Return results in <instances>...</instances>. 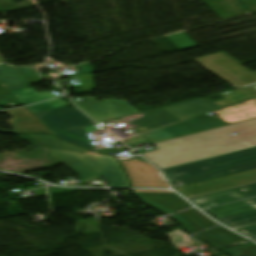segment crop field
<instances>
[{"label":"crop field","mask_w":256,"mask_h":256,"mask_svg":"<svg viewBox=\"0 0 256 256\" xmlns=\"http://www.w3.org/2000/svg\"><path fill=\"white\" fill-rule=\"evenodd\" d=\"M195 61L236 89L256 84V72H250L223 53L195 59Z\"/></svg>","instance_id":"4"},{"label":"crop field","mask_w":256,"mask_h":256,"mask_svg":"<svg viewBox=\"0 0 256 256\" xmlns=\"http://www.w3.org/2000/svg\"><path fill=\"white\" fill-rule=\"evenodd\" d=\"M173 217L181 221L192 233L216 225L213 221L206 218L195 209L173 215Z\"/></svg>","instance_id":"10"},{"label":"crop field","mask_w":256,"mask_h":256,"mask_svg":"<svg viewBox=\"0 0 256 256\" xmlns=\"http://www.w3.org/2000/svg\"><path fill=\"white\" fill-rule=\"evenodd\" d=\"M226 99L210 103L199 99L166 108L139 113L120 121L129 124L136 132L141 133L207 111H211L229 104H233L256 96V85L221 94ZM224 121L233 124L246 120L256 119V99L250 100L226 109L213 112ZM151 144L150 142L132 146V148Z\"/></svg>","instance_id":"1"},{"label":"crop field","mask_w":256,"mask_h":256,"mask_svg":"<svg viewBox=\"0 0 256 256\" xmlns=\"http://www.w3.org/2000/svg\"><path fill=\"white\" fill-rule=\"evenodd\" d=\"M243 187H247L243 189L244 191L251 190V189H254V191L246 193L244 195L245 197L241 196L240 194L236 193L233 190H228L224 192L192 198L190 200L194 202H198L202 200L203 203H197V204L202 208H206V207L222 204L225 202H229V201H233L241 198H249V197L256 196V184L246 185Z\"/></svg>","instance_id":"8"},{"label":"crop field","mask_w":256,"mask_h":256,"mask_svg":"<svg viewBox=\"0 0 256 256\" xmlns=\"http://www.w3.org/2000/svg\"><path fill=\"white\" fill-rule=\"evenodd\" d=\"M83 101L75 104L90 115L97 123L139 113L126 102L116 100L97 101L96 97H80ZM83 111V112H84Z\"/></svg>","instance_id":"5"},{"label":"crop field","mask_w":256,"mask_h":256,"mask_svg":"<svg viewBox=\"0 0 256 256\" xmlns=\"http://www.w3.org/2000/svg\"><path fill=\"white\" fill-rule=\"evenodd\" d=\"M253 168H256V161L231 167V168H227V169H223V170H218L214 172H209V173L173 181L171 182L172 183L171 185L173 188H176V187H180V186H184V185H188V184H192V183H196V182H200V181H204V180H208V179H212V178H216V177H220V176H224V175H228V174H232L240 171H245Z\"/></svg>","instance_id":"9"},{"label":"crop field","mask_w":256,"mask_h":256,"mask_svg":"<svg viewBox=\"0 0 256 256\" xmlns=\"http://www.w3.org/2000/svg\"><path fill=\"white\" fill-rule=\"evenodd\" d=\"M256 160V147L164 169L170 181Z\"/></svg>","instance_id":"3"},{"label":"crop field","mask_w":256,"mask_h":256,"mask_svg":"<svg viewBox=\"0 0 256 256\" xmlns=\"http://www.w3.org/2000/svg\"><path fill=\"white\" fill-rule=\"evenodd\" d=\"M66 105H69V104L66 103L65 101L57 98V99H54V100H51V101H48V102H45L42 104L29 106L28 108L32 112V114H34V113H38V112L66 106Z\"/></svg>","instance_id":"14"},{"label":"crop field","mask_w":256,"mask_h":256,"mask_svg":"<svg viewBox=\"0 0 256 256\" xmlns=\"http://www.w3.org/2000/svg\"><path fill=\"white\" fill-rule=\"evenodd\" d=\"M133 187H168L157 177L158 170L137 159L121 162Z\"/></svg>","instance_id":"6"},{"label":"crop field","mask_w":256,"mask_h":256,"mask_svg":"<svg viewBox=\"0 0 256 256\" xmlns=\"http://www.w3.org/2000/svg\"><path fill=\"white\" fill-rule=\"evenodd\" d=\"M158 177L161 178L164 181V179H163V177L160 173L158 174Z\"/></svg>","instance_id":"18"},{"label":"crop field","mask_w":256,"mask_h":256,"mask_svg":"<svg viewBox=\"0 0 256 256\" xmlns=\"http://www.w3.org/2000/svg\"><path fill=\"white\" fill-rule=\"evenodd\" d=\"M253 209H256V198L207 209L206 211H208L216 218H221Z\"/></svg>","instance_id":"11"},{"label":"crop field","mask_w":256,"mask_h":256,"mask_svg":"<svg viewBox=\"0 0 256 256\" xmlns=\"http://www.w3.org/2000/svg\"><path fill=\"white\" fill-rule=\"evenodd\" d=\"M236 231H238L241 234H244V235L249 236V237L253 238L254 240H256V225L240 228Z\"/></svg>","instance_id":"15"},{"label":"crop field","mask_w":256,"mask_h":256,"mask_svg":"<svg viewBox=\"0 0 256 256\" xmlns=\"http://www.w3.org/2000/svg\"><path fill=\"white\" fill-rule=\"evenodd\" d=\"M140 160H143L142 158H139ZM143 161H145V160H143ZM146 162V161H145Z\"/></svg>","instance_id":"19"},{"label":"crop field","mask_w":256,"mask_h":256,"mask_svg":"<svg viewBox=\"0 0 256 256\" xmlns=\"http://www.w3.org/2000/svg\"><path fill=\"white\" fill-rule=\"evenodd\" d=\"M85 130L93 134L104 132V130L97 125L86 127Z\"/></svg>","instance_id":"16"},{"label":"crop field","mask_w":256,"mask_h":256,"mask_svg":"<svg viewBox=\"0 0 256 256\" xmlns=\"http://www.w3.org/2000/svg\"><path fill=\"white\" fill-rule=\"evenodd\" d=\"M221 220L225 222V225L238 229L243 226L256 224V211L221 218Z\"/></svg>","instance_id":"13"},{"label":"crop field","mask_w":256,"mask_h":256,"mask_svg":"<svg viewBox=\"0 0 256 256\" xmlns=\"http://www.w3.org/2000/svg\"><path fill=\"white\" fill-rule=\"evenodd\" d=\"M45 125L54 133L70 130L78 127L79 129L55 134L56 137L62 138L70 143L80 145L84 148L94 151L83 126L93 124L90 119L75 109L63 107L39 114H35Z\"/></svg>","instance_id":"2"},{"label":"crop field","mask_w":256,"mask_h":256,"mask_svg":"<svg viewBox=\"0 0 256 256\" xmlns=\"http://www.w3.org/2000/svg\"><path fill=\"white\" fill-rule=\"evenodd\" d=\"M3 61L0 59V63H2Z\"/></svg>","instance_id":"21"},{"label":"crop field","mask_w":256,"mask_h":256,"mask_svg":"<svg viewBox=\"0 0 256 256\" xmlns=\"http://www.w3.org/2000/svg\"><path fill=\"white\" fill-rule=\"evenodd\" d=\"M145 202L158 207L167 214L178 212L192 206L175 193H136Z\"/></svg>","instance_id":"7"},{"label":"crop field","mask_w":256,"mask_h":256,"mask_svg":"<svg viewBox=\"0 0 256 256\" xmlns=\"http://www.w3.org/2000/svg\"><path fill=\"white\" fill-rule=\"evenodd\" d=\"M10 93L24 105L55 97L48 91L37 93L32 88H24Z\"/></svg>","instance_id":"12"},{"label":"crop field","mask_w":256,"mask_h":256,"mask_svg":"<svg viewBox=\"0 0 256 256\" xmlns=\"http://www.w3.org/2000/svg\"><path fill=\"white\" fill-rule=\"evenodd\" d=\"M237 256H243V255L239 254V255H237Z\"/></svg>","instance_id":"20"},{"label":"crop field","mask_w":256,"mask_h":256,"mask_svg":"<svg viewBox=\"0 0 256 256\" xmlns=\"http://www.w3.org/2000/svg\"><path fill=\"white\" fill-rule=\"evenodd\" d=\"M134 192H169L163 190H134Z\"/></svg>","instance_id":"17"}]
</instances>
